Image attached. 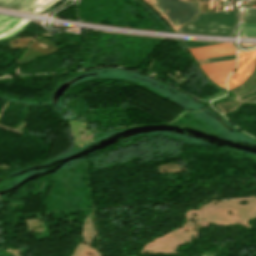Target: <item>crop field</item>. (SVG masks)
Here are the masks:
<instances>
[{"label": "crop field", "mask_w": 256, "mask_h": 256, "mask_svg": "<svg viewBox=\"0 0 256 256\" xmlns=\"http://www.w3.org/2000/svg\"><path fill=\"white\" fill-rule=\"evenodd\" d=\"M238 14L239 9L206 12L177 31L231 36L236 28Z\"/></svg>", "instance_id": "crop-field-1"}, {"label": "crop field", "mask_w": 256, "mask_h": 256, "mask_svg": "<svg viewBox=\"0 0 256 256\" xmlns=\"http://www.w3.org/2000/svg\"><path fill=\"white\" fill-rule=\"evenodd\" d=\"M176 31L199 14L198 1L188 0H145Z\"/></svg>", "instance_id": "crop-field-2"}, {"label": "crop field", "mask_w": 256, "mask_h": 256, "mask_svg": "<svg viewBox=\"0 0 256 256\" xmlns=\"http://www.w3.org/2000/svg\"><path fill=\"white\" fill-rule=\"evenodd\" d=\"M255 61L256 50L238 52V69L228 79V90L244 82L247 76L254 69Z\"/></svg>", "instance_id": "crop-field-3"}, {"label": "crop field", "mask_w": 256, "mask_h": 256, "mask_svg": "<svg viewBox=\"0 0 256 256\" xmlns=\"http://www.w3.org/2000/svg\"><path fill=\"white\" fill-rule=\"evenodd\" d=\"M59 1L60 0H0V7L40 13Z\"/></svg>", "instance_id": "crop-field-4"}, {"label": "crop field", "mask_w": 256, "mask_h": 256, "mask_svg": "<svg viewBox=\"0 0 256 256\" xmlns=\"http://www.w3.org/2000/svg\"><path fill=\"white\" fill-rule=\"evenodd\" d=\"M207 76L217 85L226 88L225 80L235 69V60L200 66Z\"/></svg>", "instance_id": "crop-field-5"}, {"label": "crop field", "mask_w": 256, "mask_h": 256, "mask_svg": "<svg viewBox=\"0 0 256 256\" xmlns=\"http://www.w3.org/2000/svg\"><path fill=\"white\" fill-rule=\"evenodd\" d=\"M189 51L195 59L236 53L234 47L228 43L191 48Z\"/></svg>", "instance_id": "crop-field-6"}, {"label": "crop field", "mask_w": 256, "mask_h": 256, "mask_svg": "<svg viewBox=\"0 0 256 256\" xmlns=\"http://www.w3.org/2000/svg\"><path fill=\"white\" fill-rule=\"evenodd\" d=\"M28 23L29 21L21 18L0 15V39L13 36Z\"/></svg>", "instance_id": "crop-field-7"}, {"label": "crop field", "mask_w": 256, "mask_h": 256, "mask_svg": "<svg viewBox=\"0 0 256 256\" xmlns=\"http://www.w3.org/2000/svg\"><path fill=\"white\" fill-rule=\"evenodd\" d=\"M243 22H256V8H243Z\"/></svg>", "instance_id": "crop-field-8"}, {"label": "crop field", "mask_w": 256, "mask_h": 256, "mask_svg": "<svg viewBox=\"0 0 256 256\" xmlns=\"http://www.w3.org/2000/svg\"><path fill=\"white\" fill-rule=\"evenodd\" d=\"M244 36H256V23H242Z\"/></svg>", "instance_id": "crop-field-9"}, {"label": "crop field", "mask_w": 256, "mask_h": 256, "mask_svg": "<svg viewBox=\"0 0 256 256\" xmlns=\"http://www.w3.org/2000/svg\"><path fill=\"white\" fill-rule=\"evenodd\" d=\"M236 54L227 55V56H220V57H213L205 59L207 63L211 62H218V61H225V60H232L235 59Z\"/></svg>", "instance_id": "crop-field-10"}]
</instances>
